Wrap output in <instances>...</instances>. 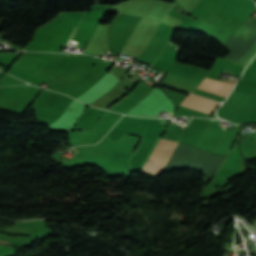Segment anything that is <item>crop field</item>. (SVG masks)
I'll list each match as a JSON object with an SVG mask.
<instances>
[{"label":"crop field","mask_w":256,"mask_h":256,"mask_svg":"<svg viewBox=\"0 0 256 256\" xmlns=\"http://www.w3.org/2000/svg\"><path fill=\"white\" fill-rule=\"evenodd\" d=\"M232 87V84L204 78L203 82L197 88L227 97Z\"/></svg>","instance_id":"obj_4"},{"label":"crop field","mask_w":256,"mask_h":256,"mask_svg":"<svg viewBox=\"0 0 256 256\" xmlns=\"http://www.w3.org/2000/svg\"><path fill=\"white\" fill-rule=\"evenodd\" d=\"M219 103L190 94L181 105L210 114Z\"/></svg>","instance_id":"obj_3"},{"label":"crop field","mask_w":256,"mask_h":256,"mask_svg":"<svg viewBox=\"0 0 256 256\" xmlns=\"http://www.w3.org/2000/svg\"><path fill=\"white\" fill-rule=\"evenodd\" d=\"M0 242L5 243V244H8V245H9V243H7V242H3V241H0Z\"/></svg>","instance_id":"obj_6"},{"label":"crop field","mask_w":256,"mask_h":256,"mask_svg":"<svg viewBox=\"0 0 256 256\" xmlns=\"http://www.w3.org/2000/svg\"><path fill=\"white\" fill-rule=\"evenodd\" d=\"M178 142L160 139L142 169L159 175Z\"/></svg>","instance_id":"obj_1"},{"label":"crop field","mask_w":256,"mask_h":256,"mask_svg":"<svg viewBox=\"0 0 256 256\" xmlns=\"http://www.w3.org/2000/svg\"><path fill=\"white\" fill-rule=\"evenodd\" d=\"M256 78V68L254 69V71L252 72L251 76L249 79H253Z\"/></svg>","instance_id":"obj_5"},{"label":"crop field","mask_w":256,"mask_h":256,"mask_svg":"<svg viewBox=\"0 0 256 256\" xmlns=\"http://www.w3.org/2000/svg\"><path fill=\"white\" fill-rule=\"evenodd\" d=\"M215 8L245 21L256 6L252 0H220Z\"/></svg>","instance_id":"obj_2"}]
</instances>
